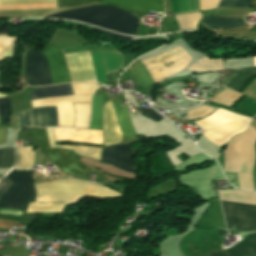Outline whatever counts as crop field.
Listing matches in <instances>:
<instances>
[{
    "instance_id": "obj_18",
    "label": "crop field",
    "mask_w": 256,
    "mask_h": 256,
    "mask_svg": "<svg viewBox=\"0 0 256 256\" xmlns=\"http://www.w3.org/2000/svg\"><path fill=\"white\" fill-rule=\"evenodd\" d=\"M50 147H62L74 150L78 155L89 156L100 160L101 147H89L84 145H58L55 146V142L52 135L51 128H46Z\"/></svg>"
},
{
    "instance_id": "obj_29",
    "label": "crop field",
    "mask_w": 256,
    "mask_h": 256,
    "mask_svg": "<svg viewBox=\"0 0 256 256\" xmlns=\"http://www.w3.org/2000/svg\"><path fill=\"white\" fill-rule=\"evenodd\" d=\"M250 0H222L219 6L249 8ZM250 8L256 12V0H251Z\"/></svg>"
},
{
    "instance_id": "obj_28",
    "label": "crop field",
    "mask_w": 256,
    "mask_h": 256,
    "mask_svg": "<svg viewBox=\"0 0 256 256\" xmlns=\"http://www.w3.org/2000/svg\"><path fill=\"white\" fill-rule=\"evenodd\" d=\"M14 160V148L0 150V168H11Z\"/></svg>"
},
{
    "instance_id": "obj_12",
    "label": "crop field",
    "mask_w": 256,
    "mask_h": 256,
    "mask_svg": "<svg viewBox=\"0 0 256 256\" xmlns=\"http://www.w3.org/2000/svg\"><path fill=\"white\" fill-rule=\"evenodd\" d=\"M102 160L124 171L135 172L134 151L128 144L105 147Z\"/></svg>"
},
{
    "instance_id": "obj_13",
    "label": "crop field",
    "mask_w": 256,
    "mask_h": 256,
    "mask_svg": "<svg viewBox=\"0 0 256 256\" xmlns=\"http://www.w3.org/2000/svg\"><path fill=\"white\" fill-rule=\"evenodd\" d=\"M65 57L74 81L97 82L89 53L67 54Z\"/></svg>"
},
{
    "instance_id": "obj_7",
    "label": "crop field",
    "mask_w": 256,
    "mask_h": 256,
    "mask_svg": "<svg viewBox=\"0 0 256 256\" xmlns=\"http://www.w3.org/2000/svg\"><path fill=\"white\" fill-rule=\"evenodd\" d=\"M191 57L180 47L171 49L159 56L142 61L148 69L155 84L170 75L185 69Z\"/></svg>"
},
{
    "instance_id": "obj_5",
    "label": "crop field",
    "mask_w": 256,
    "mask_h": 256,
    "mask_svg": "<svg viewBox=\"0 0 256 256\" xmlns=\"http://www.w3.org/2000/svg\"><path fill=\"white\" fill-rule=\"evenodd\" d=\"M30 97L32 100L49 98L55 96L63 95H73L72 88L70 84L57 85L50 88H42L30 92ZM92 95H83V96H63L55 97L49 99L35 100L33 102L34 107L38 106H59L64 104H70L75 102H88L91 103ZM58 109V123L59 126H70L73 127L74 122V109L73 105L59 106Z\"/></svg>"
},
{
    "instance_id": "obj_22",
    "label": "crop field",
    "mask_w": 256,
    "mask_h": 256,
    "mask_svg": "<svg viewBox=\"0 0 256 256\" xmlns=\"http://www.w3.org/2000/svg\"><path fill=\"white\" fill-rule=\"evenodd\" d=\"M222 200L256 205V193L242 191L219 192Z\"/></svg>"
},
{
    "instance_id": "obj_1",
    "label": "crop field",
    "mask_w": 256,
    "mask_h": 256,
    "mask_svg": "<svg viewBox=\"0 0 256 256\" xmlns=\"http://www.w3.org/2000/svg\"><path fill=\"white\" fill-rule=\"evenodd\" d=\"M36 195H90L115 197L120 194L103 186L78 180L59 179L57 181L35 185ZM84 196H36L35 203H30L26 213L62 212L64 205L72 204Z\"/></svg>"
},
{
    "instance_id": "obj_11",
    "label": "crop field",
    "mask_w": 256,
    "mask_h": 256,
    "mask_svg": "<svg viewBox=\"0 0 256 256\" xmlns=\"http://www.w3.org/2000/svg\"><path fill=\"white\" fill-rule=\"evenodd\" d=\"M18 128L28 126H57V110L55 107L33 108L17 113Z\"/></svg>"
},
{
    "instance_id": "obj_30",
    "label": "crop field",
    "mask_w": 256,
    "mask_h": 256,
    "mask_svg": "<svg viewBox=\"0 0 256 256\" xmlns=\"http://www.w3.org/2000/svg\"><path fill=\"white\" fill-rule=\"evenodd\" d=\"M74 95L77 94H92L94 90L99 87L97 83L87 82L82 84H71Z\"/></svg>"
},
{
    "instance_id": "obj_32",
    "label": "crop field",
    "mask_w": 256,
    "mask_h": 256,
    "mask_svg": "<svg viewBox=\"0 0 256 256\" xmlns=\"http://www.w3.org/2000/svg\"><path fill=\"white\" fill-rule=\"evenodd\" d=\"M214 110L215 109H213V108L201 106V107H198L194 110L188 111V117L187 118H197V117L206 116Z\"/></svg>"
},
{
    "instance_id": "obj_39",
    "label": "crop field",
    "mask_w": 256,
    "mask_h": 256,
    "mask_svg": "<svg viewBox=\"0 0 256 256\" xmlns=\"http://www.w3.org/2000/svg\"><path fill=\"white\" fill-rule=\"evenodd\" d=\"M251 125L256 129V121L255 120H253ZM255 151H256V144H255ZM254 170H255V168H254ZM254 183H255V190H256V172H254Z\"/></svg>"
},
{
    "instance_id": "obj_17",
    "label": "crop field",
    "mask_w": 256,
    "mask_h": 256,
    "mask_svg": "<svg viewBox=\"0 0 256 256\" xmlns=\"http://www.w3.org/2000/svg\"><path fill=\"white\" fill-rule=\"evenodd\" d=\"M256 73V68L229 70L220 80L218 85L228 87L238 92L244 82Z\"/></svg>"
},
{
    "instance_id": "obj_23",
    "label": "crop field",
    "mask_w": 256,
    "mask_h": 256,
    "mask_svg": "<svg viewBox=\"0 0 256 256\" xmlns=\"http://www.w3.org/2000/svg\"><path fill=\"white\" fill-rule=\"evenodd\" d=\"M75 122L74 127L87 128L91 113V105L87 103H75Z\"/></svg>"
},
{
    "instance_id": "obj_41",
    "label": "crop field",
    "mask_w": 256,
    "mask_h": 256,
    "mask_svg": "<svg viewBox=\"0 0 256 256\" xmlns=\"http://www.w3.org/2000/svg\"><path fill=\"white\" fill-rule=\"evenodd\" d=\"M8 93H0V97H5L7 96Z\"/></svg>"
},
{
    "instance_id": "obj_40",
    "label": "crop field",
    "mask_w": 256,
    "mask_h": 256,
    "mask_svg": "<svg viewBox=\"0 0 256 256\" xmlns=\"http://www.w3.org/2000/svg\"><path fill=\"white\" fill-rule=\"evenodd\" d=\"M65 1H87V2H101L103 0H65Z\"/></svg>"
},
{
    "instance_id": "obj_4",
    "label": "crop field",
    "mask_w": 256,
    "mask_h": 256,
    "mask_svg": "<svg viewBox=\"0 0 256 256\" xmlns=\"http://www.w3.org/2000/svg\"><path fill=\"white\" fill-rule=\"evenodd\" d=\"M68 12H75L78 14L88 15L90 17L97 18L103 21H107V22H111V23H115V24L127 26V27H134V28H137L138 21H139L138 19L134 18L130 14L120 9L109 7V6L93 5V6L70 10ZM68 12H61L57 14L47 15L45 17L77 20V21L85 22L98 27H102L105 29H109L115 32L128 34V35L136 36V33H137V29H134V28L122 27L115 24L96 20L88 16H83V15H78L75 13H68Z\"/></svg>"
},
{
    "instance_id": "obj_37",
    "label": "crop field",
    "mask_w": 256,
    "mask_h": 256,
    "mask_svg": "<svg viewBox=\"0 0 256 256\" xmlns=\"http://www.w3.org/2000/svg\"><path fill=\"white\" fill-rule=\"evenodd\" d=\"M35 164H41V165L45 164V158L39 153H36Z\"/></svg>"
},
{
    "instance_id": "obj_24",
    "label": "crop field",
    "mask_w": 256,
    "mask_h": 256,
    "mask_svg": "<svg viewBox=\"0 0 256 256\" xmlns=\"http://www.w3.org/2000/svg\"><path fill=\"white\" fill-rule=\"evenodd\" d=\"M222 68H223V59L211 60L205 57L187 69L195 70V71H208V70H222Z\"/></svg>"
},
{
    "instance_id": "obj_20",
    "label": "crop field",
    "mask_w": 256,
    "mask_h": 256,
    "mask_svg": "<svg viewBox=\"0 0 256 256\" xmlns=\"http://www.w3.org/2000/svg\"><path fill=\"white\" fill-rule=\"evenodd\" d=\"M126 71L144 89L154 84L153 80L139 59L130 65Z\"/></svg>"
},
{
    "instance_id": "obj_8",
    "label": "crop field",
    "mask_w": 256,
    "mask_h": 256,
    "mask_svg": "<svg viewBox=\"0 0 256 256\" xmlns=\"http://www.w3.org/2000/svg\"><path fill=\"white\" fill-rule=\"evenodd\" d=\"M103 95L93 96L90 129L102 130L101 104ZM55 141H73L104 145L102 131L52 128Z\"/></svg>"
},
{
    "instance_id": "obj_43",
    "label": "crop field",
    "mask_w": 256,
    "mask_h": 256,
    "mask_svg": "<svg viewBox=\"0 0 256 256\" xmlns=\"http://www.w3.org/2000/svg\"><path fill=\"white\" fill-rule=\"evenodd\" d=\"M255 119H256V117H255Z\"/></svg>"
},
{
    "instance_id": "obj_38",
    "label": "crop field",
    "mask_w": 256,
    "mask_h": 256,
    "mask_svg": "<svg viewBox=\"0 0 256 256\" xmlns=\"http://www.w3.org/2000/svg\"><path fill=\"white\" fill-rule=\"evenodd\" d=\"M5 127L0 125V144L4 143Z\"/></svg>"
},
{
    "instance_id": "obj_15",
    "label": "crop field",
    "mask_w": 256,
    "mask_h": 256,
    "mask_svg": "<svg viewBox=\"0 0 256 256\" xmlns=\"http://www.w3.org/2000/svg\"><path fill=\"white\" fill-rule=\"evenodd\" d=\"M102 3L120 6L140 13L147 11L164 12V0H105Z\"/></svg>"
},
{
    "instance_id": "obj_33",
    "label": "crop field",
    "mask_w": 256,
    "mask_h": 256,
    "mask_svg": "<svg viewBox=\"0 0 256 256\" xmlns=\"http://www.w3.org/2000/svg\"><path fill=\"white\" fill-rule=\"evenodd\" d=\"M17 222H14L10 219H0V228H5L10 230Z\"/></svg>"
},
{
    "instance_id": "obj_25",
    "label": "crop field",
    "mask_w": 256,
    "mask_h": 256,
    "mask_svg": "<svg viewBox=\"0 0 256 256\" xmlns=\"http://www.w3.org/2000/svg\"><path fill=\"white\" fill-rule=\"evenodd\" d=\"M19 161L15 167L33 168V155L31 147H18Z\"/></svg>"
},
{
    "instance_id": "obj_31",
    "label": "crop field",
    "mask_w": 256,
    "mask_h": 256,
    "mask_svg": "<svg viewBox=\"0 0 256 256\" xmlns=\"http://www.w3.org/2000/svg\"><path fill=\"white\" fill-rule=\"evenodd\" d=\"M10 113V104L8 98L0 99V119L2 125H8L7 118Z\"/></svg>"
},
{
    "instance_id": "obj_35",
    "label": "crop field",
    "mask_w": 256,
    "mask_h": 256,
    "mask_svg": "<svg viewBox=\"0 0 256 256\" xmlns=\"http://www.w3.org/2000/svg\"><path fill=\"white\" fill-rule=\"evenodd\" d=\"M93 29H94V30H98V31H102V32L109 33V34H111V35H113V36H116V37H118V38H121V39H123V40L130 41V42H131V37H126V36L117 35V34H115V33H113V32L105 31V30H102V29H99V28H95V27H93Z\"/></svg>"
},
{
    "instance_id": "obj_3",
    "label": "crop field",
    "mask_w": 256,
    "mask_h": 256,
    "mask_svg": "<svg viewBox=\"0 0 256 256\" xmlns=\"http://www.w3.org/2000/svg\"><path fill=\"white\" fill-rule=\"evenodd\" d=\"M255 141L256 130L250 125L245 133L233 138L225 149L224 171L238 172L239 187L243 189L254 190Z\"/></svg>"
},
{
    "instance_id": "obj_14",
    "label": "crop field",
    "mask_w": 256,
    "mask_h": 256,
    "mask_svg": "<svg viewBox=\"0 0 256 256\" xmlns=\"http://www.w3.org/2000/svg\"><path fill=\"white\" fill-rule=\"evenodd\" d=\"M103 128L106 145L117 144L123 140L111 101L103 106Z\"/></svg>"
},
{
    "instance_id": "obj_19",
    "label": "crop field",
    "mask_w": 256,
    "mask_h": 256,
    "mask_svg": "<svg viewBox=\"0 0 256 256\" xmlns=\"http://www.w3.org/2000/svg\"><path fill=\"white\" fill-rule=\"evenodd\" d=\"M112 102H113V105H114V108H115V111H116V114H117V117L119 120V124H120L121 130H122L124 139L132 137V136H136L137 134H136L133 124L130 120L127 108L126 107L121 108L119 100H115Z\"/></svg>"
},
{
    "instance_id": "obj_42",
    "label": "crop field",
    "mask_w": 256,
    "mask_h": 256,
    "mask_svg": "<svg viewBox=\"0 0 256 256\" xmlns=\"http://www.w3.org/2000/svg\"><path fill=\"white\" fill-rule=\"evenodd\" d=\"M254 60H255V64H256V57H254Z\"/></svg>"
},
{
    "instance_id": "obj_9",
    "label": "crop field",
    "mask_w": 256,
    "mask_h": 256,
    "mask_svg": "<svg viewBox=\"0 0 256 256\" xmlns=\"http://www.w3.org/2000/svg\"><path fill=\"white\" fill-rule=\"evenodd\" d=\"M30 130L33 134L34 145L38 147L41 153L54 165L70 176L84 178L87 166L71 158L59 149H49L45 128H34Z\"/></svg>"
},
{
    "instance_id": "obj_21",
    "label": "crop field",
    "mask_w": 256,
    "mask_h": 256,
    "mask_svg": "<svg viewBox=\"0 0 256 256\" xmlns=\"http://www.w3.org/2000/svg\"><path fill=\"white\" fill-rule=\"evenodd\" d=\"M206 27L212 31L225 28L230 29L242 25H246L242 19H231V18H220V17H209L202 21Z\"/></svg>"
},
{
    "instance_id": "obj_2",
    "label": "crop field",
    "mask_w": 256,
    "mask_h": 256,
    "mask_svg": "<svg viewBox=\"0 0 256 256\" xmlns=\"http://www.w3.org/2000/svg\"><path fill=\"white\" fill-rule=\"evenodd\" d=\"M41 51L48 60L53 84L72 82L65 63V57L59 48L56 45H44ZM42 52L28 50L26 80L29 86L52 84L48 63Z\"/></svg>"
},
{
    "instance_id": "obj_36",
    "label": "crop field",
    "mask_w": 256,
    "mask_h": 256,
    "mask_svg": "<svg viewBox=\"0 0 256 256\" xmlns=\"http://www.w3.org/2000/svg\"><path fill=\"white\" fill-rule=\"evenodd\" d=\"M11 183L9 181H7L6 179H2V181L0 182V195L2 194V192L10 185Z\"/></svg>"
},
{
    "instance_id": "obj_6",
    "label": "crop field",
    "mask_w": 256,
    "mask_h": 256,
    "mask_svg": "<svg viewBox=\"0 0 256 256\" xmlns=\"http://www.w3.org/2000/svg\"><path fill=\"white\" fill-rule=\"evenodd\" d=\"M6 178L12 184L0 197V207L24 211L28 201H34L35 198L32 171L13 170Z\"/></svg>"
},
{
    "instance_id": "obj_27",
    "label": "crop field",
    "mask_w": 256,
    "mask_h": 256,
    "mask_svg": "<svg viewBox=\"0 0 256 256\" xmlns=\"http://www.w3.org/2000/svg\"><path fill=\"white\" fill-rule=\"evenodd\" d=\"M51 7H56V3H28V4L0 5V9H31V8H51Z\"/></svg>"
},
{
    "instance_id": "obj_16",
    "label": "crop field",
    "mask_w": 256,
    "mask_h": 256,
    "mask_svg": "<svg viewBox=\"0 0 256 256\" xmlns=\"http://www.w3.org/2000/svg\"><path fill=\"white\" fill-rule=\"evenodd\" d=\"M256 253V233H252L246 235L244 240L237 243L232 248L217 252V253H210V256H246ZM256 256V254L250 255Z\"/></svg>"
},
{
    "instance_id": "obj_34",
    "label": "crop field",
    "mask_w": 256,
    "mask_h": 256,
    "mask_svg": "<svg viewBox=\"0 0 256 256\" xmlns=\"http://www.w3.org/2000/svg\"><path fill=\"white\" fill-rule=\"evenodd\" d=\"M152 109V108H151ZM151 109H144L143 106L141 105V110H143L147 115H149L152 119L155 120H160L162 119V117L157 114L155 111L151 110Z\"/></svg>"
},
{
    "instance_id": "obj_26",
    "label": "crop field",
    "mask_w": 256,
    "mask_h": 256,
    "mask_svg": "<svg viewBox=\"0 0 256 256\" xmlns=\"http://www.w3.org/2000/svg\"><path fill=\"white\" fill-rule=\"evenodd\" d=\"M240 96H241V94L236 93L232 90L226 89L223 92L216 95L212 99V101L230 107Z\"/></svg>"
},
{
    "instance_id": "obj_10",
    "label": "crop field",
    "mask_w": 256,
    "mask_h": 256,
    "mask_svg": "<svg viewBox=\"0 0 256 256\" xmlns=\"http://www.w3.org/2000/svg\"><path fill=\"white\" fill-rule=\"evenodd\" d=\"M227 224H237V232L256 230V206L222 201Z\"/></svg>"
}]
</instances>
